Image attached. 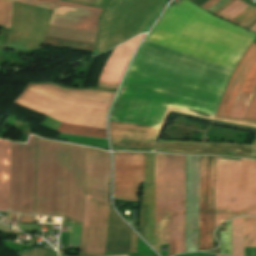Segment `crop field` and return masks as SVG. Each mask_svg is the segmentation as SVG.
Masks as SVG:
<instances>
[{
    "label": "crop field",
    "instance_id": "8a807250",
    "mask_svg": "<svg viewBox=\"0 0 256 256\" xmlns=\"http://www.w3.org/2000/svg\"><path fill=\"white\" fill-rule=\"evenodd\" d=\"M233 70L143 42L110 119L158 127L166 106L216 115Z\"/></svg>",
    "mask_w": 256,
    "mask_h": 256
},
{
    "label": "crop field",
    "instance_id": "ac0d7876",
    "mask_svg": "<svg viewBox=\"0 0 256 256\" xmlns=\"http://www.w3.org/2000/svg\"><path fill=\"white\" fill-rule=\"evenodd\" d=\"M145 41L235 70L256 34L187 0L169 6Z\"/></svg>",
    "mask_w": 256,
    "mask_h": 256
},
{
    "label": "crop field",
    "instance_id": "34b2d1b8",
    "mask_svg": "<svg viewBox=\"0 0 256 256\" xmlns=\"http://www.w3.org/2000/svg\"><path fill=\"white\" fill-rule=\"evenodd\" d=\"M110 154L87 147L85 206L80 255H102L108 207ZM105 254L136 252L137 236L116 215L110 203Z\"/></svg>",
    "mask_w": 256,
    "mask_h": 256
},
{
    "label": "crop field",
    "instance_id": "412701ff",
    "mask_svg": "<svg viewBox=\"0 0 256 256\" xmlns=\"http://www.w3.org/2000/svg\"><path fill=\"white\" fill-rule=\"evenodd\" d=\"M115 93L29 84L14 103L62 122L106 128L108 107Z\"/></svg>",
    "mask_w": 256,
    "mask_h": 256
},
{
    "label": "crop field",
    "instance_id": "f4fd0767",
    "mask_svg": "<svg viewBox=\"0 0 256 256\" xmlns=\"http://www.w3.org/2000/svg\"><path fill=\"white\" fill-rule=\"evenodd\" d=\"M185 156L156 153L155 245L169 243L168 254L184 252Z\"/></svg>",
    "mask_w": 256,
    "mask_h": 256
},
{
    "label": "crop field",
    "instance_id": "dd49c442",
    "mask_svg": "<svg viewBox=\"0 0 256 256\" xmlns=\"http://www.w3.org/2000/svg\"><path fill=\"white\" fill-rule=\"evenodd\" d=\"M169 110L214 120L256 126V121L247 119L213 117L167 107L159 128L125 124L110 120L111 143L152 150L168 116ZM155 151L256 157V136L252 145L159 140Z\"/></svg>",
    "mask_w": 256,
    "mask_h": 256
},
{
    "label": "crop field",
    "instance_id": "e52e79f7",
    "mask_svg": "<svg viewBox=\"0 0 256 256\" xmlns=\"http://www.w3.org/2000/svg\"><path fill=\"white\" fill-rule=\"evenodd\" d=\"M104 9L98 19L94 54L144 33L167 0H63Z\"/></svg>",
    "mask_w": 256,
    "mask_h": 256
},
{
    "label": "crop field",
    "instance_id": "d8731c3e",
    "mask_svg": "<svg viewBox=\"0 0 256 256\" xmlns=\"http://www.w3.org/2000/svg\"><path fill=\"white\" fill-rule=\"evenodd\" d=\"M199 227V156H187L186 251L196 250ZM200 249H212L214 157L200 156Z\"/></svg>",
    "mask_w": 256,
    "mask_h": 256
},
{
    "label": "crop field",
    "instance_id": "5a996713",
    "mask_svg": "<svg viewBox=\"0 0 256 256\" xmlns=\"http://www.w3.org/2000/svg\"><path fill=\"white\" fill-rule=\"evenodd\" d=\"M239 215H256V161L216 159L215 228Z\"/></svg>",
    "mask_w": 256,
    "mask_h": 256
},
{
    "label": "crop field",
    "instance_id": "3316defc",
    "mask_svg": "<svg viewBox=\"0 0 256 256\" xmlns=\"http://www.w3.org/2000/svg\"><path fill=\"white\" fill-rule=\"evenodd\" d=\"M116 200L138 201L143 182V153L115 152ZM155 153H144L143 237L154 244Z\"/></svg>",
    "mask_w": 256,
    "mask_h": 256
},
{
    "label": "crop field",
    "instance_id": "28ad6ade",
    "mask_svg": "<svg viewBox=\"0 0 256 256\" xmlns=\"http://www.w3.org/2000/svg\"><path fill=\"white\" fill-rule=\"evenodd\" d=\"M255 81L256 45L252 42L241 59L223 94L216 116L232 117L241 93L243 92L247 97H249ZM255 88L256 83L249 99L242 93L233 117L244 118Z\"/></svg>",
    "mask_w": 256,
    "mask_h": 256
},
{
    "label": "crop field",
    "instance_id": "d1516ede",
    "mask_svg": "<svg viewBox=\"0 0 256 256\" xmlns=\"http://www.w3.org/2000/svg\"><path fill=\"white\" fill-rule=\"evenodd\" d=\"M52 12L13 1L7 45L25 49L39 48L49 27Z\"/></svg>",
    "mask_w": 256,
    "mask_h": 256
},
{
    "label": "crop field",
    "instance_id": "22f410ed",
    "mask_svg": "<svg viewBox=\"0 0 256 256\" xmlns=\"http://www.w3.org/2000/svg\"><path fill=\"white\" fill-rule=\"evenodd\" d=\"M101 11L85 5L60 1L53 12L50 24L96 32L97 18Z\"/></svg>",
    "mask_w": 256,
    "mask_h": 256
},
{
    "label": "crop field",
    "instance_id": "cbeb9de0",
    "mask_svg": "<svg viewBox=\"0 0 256 256\" xmlns=\"http://www.w3.org/2000/svg\"><path fill=\"white\" fill-rule=\"evenodd\" d=\"M143 35L144 34L115 48L101 73L98 86L112 88L117 87L124 68Z\"/></svg>",
    "mask_w": 256,
    "mask_h": 256
},
{
    "label": "crop field",
    "instance_id": "5142ce71",
    "mask_svg": "<svg viewBox=\"0 0 256 256\" xmlns=\"http://www.w3.org/2000/svg\"><path fill=\"white\" fill-rule=\"evenodd\" d=\"M11 142L0 140V210L7 211L10 186Z\"/></svg>",
    "mask_w": 256,
    "mask_h": 256
},
{
    "label": "crop field",
    "instance_id": "d9b57169",
    "mask_svg": "<svg viewBox=\"0 0 256 256\" xmlns=\"http://www.w3.org/2000/svg\"><path fill=\"white\" fill-rule=\"evenodd\" d=\"M235 0H228L227 2H225L222 6H220L218 9H216V11H218V12H220V11H222L224 8H226L228 5H230L231 3H233ZM248 8H250V7H248L247 5H245V4H243V3H241L240 1H235L233 4H231L229 7H227L226 9H224L221 13H223V14H225V15H227V16H230V17H232V18H236V17H238L240 14H242L244 11H246ZM216 11H214V12H212V13H214V14H216V15H218V16H220V17H222V18H224V19H226V20H229V21H231V22H234V23H236V24H238V25H241V26H243V27H245L246 26V24H244L250 17H252L255 13H256V11L254 10V9H250L248 12L246 11L245 13H243L241 16H239L238 18H237V20H239V21H241V22H244V23H241V22H239V21H237V20H233V19H231V18H229V17H227V16H225V15H223V14H220V13H218V12H216Z\"/></svg>",
    "mask_w": 256,
    "mask_h": 256
},
{
    "label": "crop field",
    "instance_id": "733c2abd",
    "mask_svg": "<svg viewBox=\"0 0 256 256\" xmlns=\"http://www.w3.org/2000/svg\"><path fill=\"white\" fill-rule=\"evenodd\" d=\"M245 246H256V217H244ZM245 256H256V247H245Z\"/></svg>",
    "mask_w": 256,
    "mask_h": 256
},
{
    "label": "crop field",
    "instance_id": "4a817a6b",
    "mask_svg": "<svg viewBox=\"0 0 256 256\" xmlns=\"http://www.w3.org/2000/svg\"><path fill=\"white\" fill-rule=\"evenodd\" d=\"M232 256H244L243 217L232 219Z\"/></svg>",
    "mask_w": 256,
    "mask_h": 256
},
{
    "label": "crop field",
    "instance_id": "bc2a9ffb",
    "mask_svg": "<svg viewBox=\"0 0 256 256\" xmlns=\"http://www.w3.org/2000/svg\"><path fill=\"white\" fill-rule=\"evenodd\" d=\"M60 132L106 138V129H96L64 123Z\"/></svg>",
    "mask_w": 256,
    "mask_h": 256
},
{
    "label": "crop field",
    "instance_id": "214f88e0",
    "mask_svg": "<svg viewBox=\"0 0 256 256\" xmlns=\"http://www.w3.org/2000/svg\"><path fill=\"white\" fill-rule=\"evenodd\" d=\"M16 1L28 3L31 5H35V6L51 9V10H53L59 2V0H16ZM11 6H12V0H7L6 19H5L4 29H9V26H10Z\"/></svg>",
    "mask_w": 256,
    "mask_h": 256
},
{
    "label": "crop field",
    "instance_id": "92a150f3",
    "mask_svg": "<svg viewBox=\"0 0 256 256\" xmlns=\"http://www.w3.org/2000/svg\"><path fill=\"white\" fill-rule=\"evenodd\" d=\"M245 118L256 120V91L252 97V100L250 102L249 109Z\"/></svg>",
    "mask_w": 256,
    "mask_h": 256
},
{
    "label": "crop field",
    "instance_id": "dafd665d",
    "mask_svg": "<svg viewBox=\"0 0 256 256\" xmlns=\"http://www.w3.org/2000/svg\"><path fill=\"white\" fill-rule=\"evenodd\" d=\"M6 0H0V25L2 26L4 14H5Z\"/></svg>",
    "mask_w": 256,
    "mask_h": 256
},
{
    "label": "crop field",
    "instance_id": "00972430",
    "mask_svg": "<svg viewBox=\"0 0 256 256\" xmlns=\"http://www.w3.org/2000/svg\"><path fill=\"white\" fill-rule=\"evenodd\" d=\"M33 215L20 214L19 221L21 222H32Z\"/></svg>",
    "mask_w": 256,
    "mask_h": 256
},
{
    "label": "crop field",
    "instance_id": "a9b5d70f",
    "mask_svg": "<svg viewBox=\"0 0 256 256\" xmlns=\"http://www.w3.org/2000/svg\"><path fill=\"white\" fill-rule=\"evenodd\" d=\"M218 1H220V0H208L206 3H204L202 6H200V7H202V8H204V9H209L211 6H213L215 3H217Z\"/></svg>",
    "mask_w": 256,
    "mask_h": 256
},
{
    "label": "crop field",
    "instance_id": "4177f3b9",
    "mask_svg": "<svg viewBox=\"0 0 256 256\" xmlns=\"http://www.w3.org/2000/svg\"><path fill=\"white\" fill-rule=\"evenodd\" d=\"M18 214L9 213V220L11 221V217L17 218Z\"/></svg>",
    "mask_w": 256,
    "mask_h": 256
},
{
    "label": "crop field",
    "instance_id": "730fd06b",
    "mask_svg": "<svg viewBox=\"0 0 256 256\" xmlns=\"http://www.w3.org/2000/svg\"><path fill=\"white\" fill-rule=\"evenodd\" d=\"M251 30H256V25H254L252 28H251Z\"/></svg>",
    "mask_w": 256,
    "mask_h": 256
},
{
    "label": "crop field",
    "instance_id": "eef30255",
    "mask_svg": "<svg viewBox=\"0 0 256 256\" xmlns=\"http://www.w3.org/2000/svg\"><path fill=\"white\" fill-rule=\"evenodd\" d=\"M114 256H128V255H114Z\"/></svg>",
    "mask_w": 256,
    "mask_h": 256
},
{
    "label": "crop field",
    "instance_id": "ae1a2a85",
    "mask_svg": "<svg viewBox=\"0 0 256 256\" xmlns=\"http://www.w3.org/2000/svg\"><path fill=\"white\" fill-rule=\"evenodd\" d=\"M216 256H224V255H216Z\"/></svg>",
    "mask_w": 256,
    "mask_h": 256
}]
</instances>
